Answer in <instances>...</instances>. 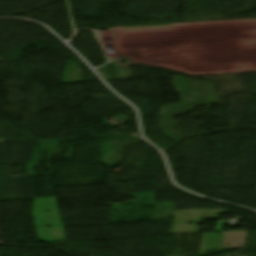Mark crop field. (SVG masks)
<instances>
[{
    "instance_id": "1",
    "label": "crop field",
    "mask_w": 256,
    "mask_h": 256,
    "mask_svg": "<svg viewBox=\"0 0 256 256\" xmlns=\"http://www.w3.org/2000/svg\"><path fill=\"white\" fill-rule=\"evenodd\" d=\"M223 235L224 233L204 234L200 253L216 250V249L220 250ZM220 252L221 250L217 252L199 254L195 256H203V255H209V254L220 253Z\"/></svg>"
}]
</instances>
